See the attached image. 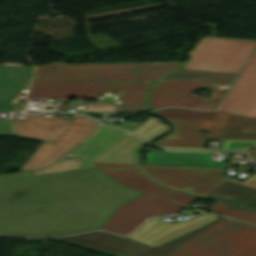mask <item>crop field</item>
Instances as JSON below:
<instances>
[{
	"instance_id": "crop-field-1",
	"label": "crop field",
	"mask_w": 256,
	"mask_h": 256,
	"mask_svg": "<svg viewBox=\"0 0 256 256\" xmlns=\"http://www.w3.org/2000/svg\"><path fill=\"white\" fill-rule=\"evenodd\" d=\"M113 180L97 168L32 178L28 172L0 175V236L101 229L118 207L143 193Z\"/></svg>"
},
{
	"instance_id": "crop-field-2",
	"label": "crop field",
	"mask_w": 256,
	"mask_h": 256,
	"mask_svg": "<svg viewBox=\"0 0 256 256\" xmlns=\"http://www.w3.org/2000/svg\"><path fill=\"white\" fill-rule=\"evenodd\" d=\"M235 222L237 220L219 217L155 248L101 231L88 232L70 237H52L51 239L110 256H183L212 235Z\"/></svg>"
},
{
	"instance_id": "crop-field-3",
	"label": "crop field",
	"mask_w": 256,
	"mask_h": 256,
	"mask_svg": "<svg viewBox=\"0 0 256 256\" xmlns=\"http://www.w3.org/2000/svg\"><path fill=\"white\" fill-rule=\"evenodd\" d=\"M174 131L155 145L204 147L207 138L256 139V119L218 112L214 120L165 118ZM199 130H207L201 135Z\"/></svg>"
},
{
	"instance_id": "crop-field-4",
	"label": "crop field",
	"mask_w": 256,
	"mask_h": 256,
	"mask_svg": "<svg viewBox=\"0 0 256 256\" xmlns=\"http://www.w3.org/2000/svg\"><path fill=\"white\" fill-rule=\"evenodd\" d=\"M181 63L63 65L36 68L33 80H118L160 79Z\"/></svg>"
},
{
	"instance_id": "crop-field-5",
	"label": "crop field",
	"mask_w": 256,
	"mask_h": 256,
	"mask_svg": "<svg viewBox=\"0 0 256 256\" xmlns=\"http://www.w3.org/2000/svg\"><path fill=\"white\" fill-rule=\"evenodd\" d=\"M255 45L254 40L204 37L182 69L237 73Z\"/></svg>"
},
{
	"instance_id": "crop-field-6",
	"label": "crop field",
	"mask_w": 256,
	"mask_h": 256,
	"mask_svg": "<svg viewBox=\"0 0 256 256\" xmlns=\"http://www.w3.org/2000/svg\"><path fill=\"white\" fill-rule=\"evenodd\" d=\"M140 171L164 187L202 197L226 180L256 188V173L241 182L223 177V170L217 169L141 167Z\"/></svg>"
},
{
	"instance_id": "crop-field-7",
	"label": "crop field",
	"mask_w": 256,
	"mask_h": 256,
	"mask_svg": "<svg viewBox=\"0 0 256 256\" xmlns=\"http://www.w3.org/2000/svg\"><path fill=\"white\" fill-rule=\"evenodd\" d=\"M127 131L97 124L92 132L44 169L30 170L31 176L96 167L91 162L114 145Z\"/></svg>"
},
{
	"instance_id": "crop-field-8",
	"label": "crop field",
	"mask_w": 256,
	"mask_h": 256,
	"mask_svg": "<svg viewBox=\"0 0 256 256\" xmlns=\"http://www.w3.org/2000/svg\"><path fill=\"white\" fill-rule=\"evenodd\" d=\"M156 81H32L27 97L96 99L105 90H147Z\"/></svg>"
},
{
	"instance_id": "crop-field-9",
	"label": "crop field",
	"mask_w": 256,
	"mask_h": 256,
	"mask_svg": "<svg viewBox=\"0 0 256 256\" xmlns=\"http://www.w3.org/2000/svg\"><path fill=\"white\" fill-rule=\"evenodd\" d=\"M181 208H187V205L144 193L118 208L102 229L120 235H128L144 219L175 213Z\"/></svg>"
},
{
	"instance_id": "crop-field-10",
	"label": "crop field",
	"mask_w": 256,
	"mask_h": 256,
	"mask_svg": "<svg viewBox=\"0 0 256 256\" xmlns=\"http://www.w3.org/2000/svg\"><path fill=\"white\" fill-rule=\"evenodd\" d=\"M200 87L212 92V96L209 100L204 101L194 95L183 92H148L147 98L152 109L166 106L215 109L225 93L208 83L162 79L155 88L150 90H182L192 93Z\"/></svg>"
},
{
	"instance_id": "crop-field-11",
	"label": "crop field",
	"mask_w": 256,
	"mask_h": 256,
	"mask_svg": "<svg viewBox=\"0 0 256 256\" xmlns=\"http://www.w3.org/2000/svg\"><path fill=\"white\" fill-rule=\"evenodd\" d=\"M186 256H256V227L239 223Z\"/></svg>"
},
{
	"instance_id": "crop-field-12",
	"label": "crop field",
	"mask_w": 256,
	"mask_h": 256,
	"mask_svg": "<svg viewBox=\"0 0 256 256\" xmlns=\"http://www.w3.org/2000/svg\"><path fill=\"white\" fill-rule=\"evenodd\" d=\"M0 135L55 142L70 121L51 116L29 114L24 119H1Z\"/></svg>"
},
{
	"instance_id": "crop-field-13",
	"label": "crop field",
	"mask_w": 256,
	"mask_h": 256,
	"mask_svg": "<svg viewBox=\"0 0 256 256\" xmlns=\"http://www.w3.org/2000/svg\"><path fill=\"white\" fill-rule=\"evenodd\" d=\"M98 122L77 115L55 143L42 142L20 171L44 168L88 135Z\"/></svg>"
},
{
	"instance_id": "crop-field-14",
	"label": "crop field",
	"mask_w": 256,
	"mask_h": 256,
	"mask_svg": "<svg viewBox=\"0 0 256 256\" xmlns=\"http://www.w3.org/2000/svg\"><path fill=\"white\" fill-rule=\"evenodd\" d=\"M217 111L256 118V50Z\"/></svg>"
},
{
	"instance_id": "crop-field-15",
	"label": "crop field",
	"mask_w": 256,
	"mask_h": 256,
	"mask_svg": "<svg viewBox=\"0 0 256 256\" xmlns=\"http://www.w3.org/2000/svg\"><path fill=\"white\" fill-rule=\"evenodd\" d=\"M217 217L219 216L201 214L193 219L182 220L175 224L163 221V217H157L146 221L128 238L155 247L181 234H185Z\"/></svg>"
},
{
	"instance_id": "crop-field-16",
	"label": "crop field",
	"mask_w": 256,
	"mask_h": 256,
	"mask_svg": "<svg viewBox=\"0 0 256 256\" xmlns=\"http://www.w3.org/2000/svg\"><path fill=\"white\" fill-rule=\"evenodd\" d=\"M33 68L0 65V112L23 109L16 91H26Z\"/></svg>"
},
{
	"instance_id": "crop-field-17",
	"label": "crop field",
	"mask_w": 256,
	"mask_h": 256,
	"mask_svg": "<svg viewBox=\"0 0 256 256\" xmlns=\"http://www.w3.org/2000/svg\"><path fill=\"white\" fill-rule=\"evenodd\" d=\"M97 167H111V168H127L136 170H119V169H100L116 182L137 190L144 191L149 194L167 198L174 190L163 188L161 185L151 180L147 176L138 172L139 165L126 164H109V163H93Z\"/></svg>"
},
{
	"instance_id": "crop-field-18",
	"label": "crop field",
	"mask_w": 256,
	"mask_h": 256,
	"mask_svg": "<svg viewBox=\"0 0 256 256\" xmlns=\"http://www.w3.org/2000/svg\"><path fill=\"white\" fill-rule=\"evenodd\" d=\"M204 156L205 158H200ZM211 154L145 151L144 164L229 168L230 163L211 162Z\"/></svg>"
},
{
	"instance_id": "crop-field-19",
	"label": "crop field",
	"mask_w": 256,
	"mask_h": 256,
	"mask_svg": "<svg viewBox=\"0 0 256 256\" xmlns=\"http://www.w3.org/2000/svg\"><path fill=\"white\" fill-rule=\"evenodd\" d=\"M146 144L129 133L93 162L139 164V152Z\"/></svg>"
},
{
	"instance_id": "crop-field-20",
	"label": "crop field",
	"mask_w": 256,
	"mask_h": 256,
	"mask_svg": "<svg viewBox=\"0 0 256 256\" xmlns=\"http://www.w3.org/2000/svg\"><path fill=\"white\" fill-rule=\"evenodd\" d=\"M255 194L256 189L226 181L205 197L222 200L233 207H240Z\"/></svg>"
},
{
	"instance_id": "crop-field-21",
	"label": "crop field",
	"mask_w": 256,
	"mask_h": 256,
	"mask_svg": "<svg viewBox=\"0 0 256 256\" xmlns=\"http://www.w3.org/2000/svg\"><path fill=\"white\" fill-rule=\"evenodd\" d=\"M235 74L178 70L166 78L230 84Z\"/></svg>"
},
{
	"instance_id": "crop-field-22",
	"label": "crop field",
	"mask_w": 256,
	"mask_h": 256,
	"mask_svg": "<svg viewBox=\"0 0 256 256\" xmlns=\"http://www.w3.org/2000/svg\"><path fill=\"white\" fill-rule=\"evenodd\" d=\"M139 137L151 142L165 133L169 132L166 124L160 122L154 117H150L135 130H133Z\"/></svg>"
},
{
	"instance_id": "crop-field-23",
	"label": "crop field",
	"mask_w": 256,
	"mask_h": 256,
	"mask_svg": "<svg viewBox=\"0 0 256 256\" xmlns=\"http://www.w3.org/2000/svg\"><path fill=\"white\" fill-rule=\"evenodd\" d=\"M156 115L165 117H183V118H199V119H214L217 111L207 112L201 110L180 109V108H165L152 112Z\"/></svg>"
},
{
	"instance_id": "crop-field-24",
	"label": "crop field",
	"mask_w": 256,
	"mask_h": 256,
	"mask_svg": "<svg viewBox=\"0 0 256 256\" xmlns=\"http://www.w3.org/2000/svg\"><path fill=\"white\" fill-rule=\"evenodd\" d=\"M209 211L224 214L225 216L255 223L256 224V212L247 211L242 209H233L228 207L225 203L216 201Z\"/></svg>"
},
{
	"instance_id": "crop-field-25",
	"label": "crop field",
	"mask_w": 256,
	"mask_h": 256,
	"mask_svg": "<svg viewBox=\"0 0 256 256\" xmlns=\"http://www.w3.org/2000/svg\"><path fill=\"white\" fill-rule=\"evenodd\" d=\"M256 146V140H223L222 149L217 152H234V150L246 149Z\"/></svg>"
},
{
	"instance_id": "crop-field-26",
	"label": "crop field",
	"mask_w": 256,
	"mask_h": 256,
	"mask_svg": "<svg viewBox=\"0 0 256 256\" xmlns=\"http://www.w3.org/2000/svg\"><path fill=\"white\" fill-rule=\"evenodd\" d=\"M121 100L122 105H146L145 92L124 91Z\"/></svg>"
},
{
	"instance_id": "crop-field-27",
	"label": "crop field",
	"mask_w": 256,
	"mask_h": 256,
	"mask_svg": "<svg viewBox=\"0 0 256 256\" xmlns=\"http://www.w3.org/2000/svg\"><path fill=\"white\" fill-rule=\"evenodd\" d=\"M193 198L194 196L192 195H188L177 191H175L171 196L168 197V199H172L186 204H188Z\"/></svg>"
},
{
	"instance_id": "crop-field-28",
	"label": "crop field",
	"mask_w": 256,
	"mask_h": 256,
	"mask_svg": "<svg viewBox=\"0 0 256 256\" xmlns=\"http://www.w3.org/2000/svg\"><path fill=\"white\" fill-rule=\"evenodd\" d=\"M168 150H178V151H199V152H213L212 148H192V147H168L159 146Z\"/></svg>"
},
{
	"instance_id": "crop-field-29",
	"label": "crop field",
	"mask_w": 256,
	"mask_h": 256,
	"mask_svg": "<svg viewBox=\"0 0 256 256\" xmlns=\"http://www.w3.org/2000/svg\"><path fill=\"white\" fill-rule=\"evenodd\" d=\"M149 110L147 106H117V111H142Z\"/></svg>"
},
{
	"instance_id": "crop-field-30",
	"label": "crop field",
	"mask_w": 256,
	"mask_h": 256,
	"mask_svg": "<svg viewBox=\"0 0 256 256\" xmlns=\"http://www.w3.org/2000/svg\"><path fill=\"white\" fill-rule=\"evenodd\" d=\"M242 208H249V209L256 210V196L251 201H249L245 206H243Z\"/></svg>"
},
{
	"instance_id": "crop-field-31",
	"label": "crop field",
	"mask_w": 256,
	"mask_h": 256,
	"mask_svg": "<svg viewBox=\"0 0 256 256\" xmlns=\"http://www.w3.org/2000/svg\"><path fill=\"white\" fill-rule=\"evenodd\" d=\"M68 101L69 99H60L56 109L62 110Z\"/></svg>"
},
{
	"instance_id": "crop-field-32",
	"label": "crop field",
	"mask_w": 256,
	"mask_h": 256,
	"mask_svg": "<svg viewBox=\"0 0 256 256\" xmlns=\"http://www.w3.org/2000/svg\"><path fill=\"white\" fill-rule=\"evenodd\" d=\"M247 155H251L252 158L254 159V162L256 163V149L249 150Z\"/></svg>"
},
{
	"instance_id": "crop-field-33",
	"label": "crop field",
	"mask_w": 256,
	"mask_h": 256,
	"mask_svg": "<svg viewBox=\"0 0 256 256\" xmlns=\"http://www.w3.org/2000/svg\"><path fill=\"white\" fill-rule=\"evenodd\" d=\"M237 169H238V170H242V171H246V172H249V171L253 170V169H249V168H246V167H244V166H241V165H239V166L237 167Z\"/></svg>"
}]
</instances>
